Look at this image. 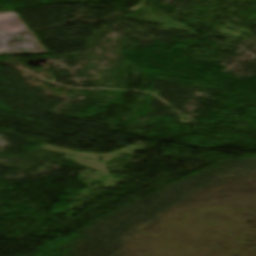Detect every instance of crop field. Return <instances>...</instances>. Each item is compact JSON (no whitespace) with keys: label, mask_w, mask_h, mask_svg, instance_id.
I'll return each mask as SVG.
<instances>
[{"label":"crop field","mask_w":256,"mask_h":256,"mask_svg":"<svg viewBox=\"0 0 256 256\" xmlns=\"http://www.w3.org/2000/svg\"><path fill=\"white\" fill-rule=\"evenodd\" d=\"M45 52L26 25L13 13L0 14V55Z\"/></svg>","instance_id":"8a807250"}]
</instances>
